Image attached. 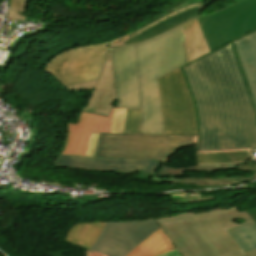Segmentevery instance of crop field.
Returning <instances> with one entry per match:
<instances>
[{"label": "crop field", "instance_id": "obj_1", "mask_svg": "<svg viewBox=\"0 0 256 256\" xmlns=\"http://www.w3.org/2000/svg\"><path fill=\"white\" fill-rule=\"evenodd\" d=\"M182 69L196 107L197 153L256 149V113L231 42Z\"/></svg>", "mask_w": 256, "mask_h": 256}, {"label": "crop field", "instance_id": "obj_2", "mask_svg": "<svg viewBox=\"0 0 256 256\" xmlns=\"http://www.w3.org/2000/svg\"><path fill=\"white\" fill-rule=\"evenodd\" d=\"M143 114L139 134H164L157 78L209 52L197 16L136 43Z\"/></svg>", "mask_w": 256, "mask_h": 256}, {"label": "crop field", "instance_id": "obj_3", "mask_svg": "<svg viewBox=\"0 0 256 256\" xmlns=\"http://www.w3.org/2000/svg\"><path fill=\"white\" fill-rule=\"evenodd\" d=\"M238 219L245 223L235 224ZM155 220L182 256L240 255L242 251L226 230L253 222L245 211L238 212L236 207Z\"/></svg>", "mask_w": 256, "mask_h": 256}, {"label": "crop field", "instance_id": "obj_4", "mask_svg": "<svg viewBox=\"0 0 256 256\" xmlns=\"http://www.w3.org/2000/svg\"><path fill=\"white\" fill-rule=\"evenodd\" d=\"M197 136H145L101 134L95 157L151 158L166 164L183 147L195 145Z\"/></svg>", "mask_w": 256, "mask_h": 256}, {"label": "crop field", "instance_id": "obj_5", "mask_svg": "<svg viewBox=\"0 0 256 256\" xmlns=\"http://www.w3.org/2000/svg\"><path fill=\"white\" fill-rule=\"evenodd\" d=\"M158 82L165 134H198L195 107L181 67Z\"/></svg>", "mask_w": 256, "mask_h": 256}, {"label": "crop field", "instance_id": "obj_6", "mask_svg": "<svg viewBox=\"0 0 256 256\" xmlns=\"http://www.w3.org/2000/svg\"><path fill=\"white\" fill-rule=\"evenodd\" d=\"M198 19L211 51L256 27V0H235Z\"/></svg>", "mask_w": 256, "mask_h": 256}, {"label": "crop field", "instance_id": "obj_7", "mask_svg": "<svg viewBox=\"0 0 256 256\" xmlns=\"http://www.w3.org/2000/svg\"><path fill=\"white\" fill-rule=\"evenodd\" d=\"M108 42L62 52L51 59L44 72L63 86L98 79Z\"/></svg>", "mask_w": 256, "mask_h": 256}, {"label": "crop field", "instance_id": "obj_8", "mask_svg": "<svg viewBox=\"0 0 256 256\" xmlns=\"http://www.w3.org/2000/svg\"><path fill=\"white\" fill-rule=\"evenodd\" d=\"M158 227L154 218L107 222L92 249L110 256H125Z\"/></svg>", "mask_w": 256, "mask_h": 256}, {"label": "crop field", "instance_id": "obj_9", "mask_svg": "<svg viewBox=\"0 0 256 256\" xmlns=\"http://www.w3.org/2000/svg\"><path fill=\"white\" fill-rule=\"evenodd\" d=\"M112 51L118 108L142 109L134 44Z\"/></svg>", "mask_w": 256, "mask_h": 256}, {"label": "crop field", "instance_id": "obj_10", "mask_svg": "<svg viewBox=\"0 0 256 256\" xmlns=\"http://www.w3.org/2000/svg\"><path fill=\"white\" fill-rule=\"evenodd\" d=\"M65 88L68 91L94 89L88 104L82 110L108 116L111 107L117 108L111 50L106 54L98 80Z\"/></svg>", "mask_w": 256, "mask_h": 256}, {"label": "crop field", "instance_id": "obj_11", "mask_svg": "<svg viewBox=\"0 0 256 256\" xmlns=\"http://www.w3.org/2000/svg\"><path fill=\"white\" fill-rule=\"evenodd\" d=\"M113 111L109 117L81 111L76 124L66 122L67 141L61 154L85 156L91 132L110 133Z\"/></svg>", "mask_w": 256, "mask_h": 256}, {"label": "crop field", "instance_id": "obj_12", "mask_svg": "<svg viewBox=\"0 0 256 256\" xmlns=\"http://www.w3.org/2000/svg\"><path fill=\"white\" fill-rule=\"evenodd\" d=\"M158 165L159 163L152 160L92 159L59 155L54 167H69L96 171H116L122 173L141 171L138 177L149 178L156 171Z\"/></svg>", "mask_w": 256, "mask_h": 256}, {"label": "crop field", "instance_id": "obj_13", "mask_svg": "<svg viewBox=\"0 0 256 256\" xmlns=\"http://www.w3.org/2000/svg\"><path fill=\"white\" fill-rule=\"evenodd\" d=\"M220 170H241L249 171L252 173L250 177H219V178H205V177H193V178H159L160 175L168 176H180L185 175L187 171L193 172H208L212 173ZM253 178H256V168H243L240 169L238 163H229V164H219V165H196L189 168H173L161 164L159 170L154 174L153 180L158 181H172V182H181V183H193V184H236L241 182H247Z\"/></svg>", "mask_w": 256, "mask_h": 256}, {"label": "crop field", "instance_id": "obj_14", "mask_svg": "<svg viewBox=\"0 0 256 256\" xmlns=\"http://www.w3.org/2000/svg\"><path fill=\"white\" fill-rule=\"evenodd\" d=\"M256 109V29L232 41Z\"/></svg>", "mask_w": 256, "mask_h": 256}, {"label": "crop field", "instance_id": "obj_15", "mask_svg": "<svg viewBox=\"0 0 256 256\" xmlns=\"http://www.w3.org/2000/svg\"><path fill=\"white\" fill-rule=\"evenodd\" d=\"M174 249L169 238L159 227L127 256H158Z\"/></svg>", "mask_w": 256, "mask_h": 256}, {"label": "crop field", "instance_id": "obj_16", "mask_svg": "<svg viewBox=\"0 0 256 256\" xmlns=\"http://www.w3.org/2000/svg\"><path fill=\"white\" fill-rule=\"evenodd\" d=\"M105 223H77L72 226L64 241L91 249Z\"/></svg>", "mask_w": 256, "mask_h": 256}, {"label": "crop field", "instance_id": "obj_17", "mask_svg": "<svg viewBox=\"0 0 256 256\" xmlns=\"http://www.w3.org/2000/svg\"><path fill=\"white\" fill-rule=\"evenodd\" d=\"M243 253L256 248V224L250 223L228 230Z\"/></svg>", "mask_w": 256, "mask_h": 256}, {"label": "crop field", "instance_id": "obj_18", "mask_svg": "<svg viewBox=\"0 0 256 256\" xmlns=\"http://www.w3.org/2000/svg\"><path fill=\"white\" fill-rule=\"evenodd\" d=\"M248 151L196 154L198 164L247 161Z\"/></svg>", "mask_w": 256, "mask_h": 256}, {"label": "crop field", "instance_id": "obj_19", "mask_svg": "<svg viewBox=\"0 0 256 256\" xmlns=\"http://www.w3.org/2000/svg\"><path fill=\"white\" fill-rule=\"evenodd\" d=\"M202 1H205V0H175V1L171 2L168 6H166V7L163 8V12H164L165 14H160V15H158V16H152V17H150L149 19L145 20L142 25H140L139 27H137L135 31H138V30H140V29H142V28H144V27L150 25L151 23H153V22H155V21H157V20H159V19L164 18L165 16H167L168 14H170V13H172V12H175V11H177V10H180V9H182V8H185V7H187V6H190V5H192V4L200 3V2H202ZM135 31H134V32H135ZM131 33H133V32H130V33L126 34V35H129V34H131ZM116 40H117V39H116ZM113 41H114V40H113ZM111 42H112V41H110L109 44H110Z\"/></svg>", "mask_w": 256, "mask_h": 256}, {"label": "crop field", "instance_id": "obj_20", "mask_svg": "<svg viewBox=\"0 0 256 256\" xmlns=\"http://www.w3.org/2000/svg\"><path fill=\"white\" fill-rule=\"evenodd\" d=\"M205 5H206V3L198 4V5H195V6L186 8V9H184V10H181V11H179V12H177V13H174V14H172V15H170V16H168V17H166V18H164V19H162V20H160V21H158V22H156V23H154V24L148 26L147 28H145L144 30H142V31H140V32H138V33H135V34L130 35V36L124 38V39H121V40H118V41L113 42L112 45H111V47H110V49H112V48H114V47L122 46V45H127V44H132V43H136V42L143 41V40H145L144 38H136V35L142 33L143 31H145V30H147V29H149V28H151V27H153V26H155V25H157V24H159V23H161V22H163V21H165V20H167V19H169V18H171V17H173V16H175V15H177V14L183 12V11L192 9V8H194V7H196L197 10H198V12L195 14V15H197L201 10H203V9L205 8ZM195 15H194V16H195ZM194 16H192V17H194ZM192 17L188 18L186 21L190 20ZM186 21H184V22H186ZM184 22H183V23H184ZM181 24H182V23H181ZM177 25H180V24H176V25H174V27L177 26ZM171 28H173V27H170L169 29H171ZM169 29H167V30H169ZM167 30H165V31H167ZM165 31H164V32H165ZM162 33H163V32H162Z\"/></svg>", "mask_w": 256, "mask_h": 256}, {"label": "crop field", "instance_id": "obj_21", "mask_svg": "<svg viewBox=\"0 0 256 256\" xmlns=\"http://www.w3.org/2000/svg\"><path fill=\"white\" fill-rule=\"evenodd\" d=\"M142 110L126 109L123 133L138 134Z\"/></svg>", "mask_w": 256, "mask_h": 256}, {"label": "crop field", "instance_id": "obj_22", "mask_svg": "<svg viewBox=\"0 0 256 256\" xmlns=\"http://www.w3.org/2000/svg\"><path fill=\"white\" fill-rule=\"evenodd\" d=\"M26 3L27 0H10L6 17L25 20Z\"/></svg>", "mask_w": 256, "mask_h": 256}, {"label": "crop field", "instance_id": "obj_23", "mask_svg": "<svg viewBox=\"0 0 256 256\" xmlns=\"http://www.w3.org/2000/svg\"><path fill=\"white\" fill-rule=\"evenodd\" d=\"M125 109H115L111 133H122Z\"/></svg>", "mask_w": 256, "mask_h": 256}, {"label": "crop field", "instance_id": "obj_24", "mask_svg": "<svg viewBox=\"0 0 256 256\" xmlns=\"http://www.w3.org/2000/svg\"><path fill=\"white\" fill-rule=\"evenodd\" d=\"M100 134H91L90 141H89V146H88V151H87V157H94L97 144H98V139H99Z\"/></svg>", "mask_w": 256, "mask_h": 256}, {"label": "crop field", "instance_id": "obj_25", "mask_svg": "<svg viewBox=\"0 0 256 256\" xmlns=\"http://www.w3.org/2000/svg\"><path fill=\"white\" fill-rule=\"evenodd\" d=\"M247 214L256 222V208L246 210Z\"/></svg>", "mask_w": 256, "mask_h": 256}, {"label": "crop field", "instance_id": "obj_26", "mask_svg": "<svg viewBox=\"0 0 256 256\" xmlns=\"http://www.w3.org/2000/svg\"><path fill=\"white\" fill-rule=\"evenodd\" d=\"M161 256H181V255L177 252V250H175V251L168 252Z\"/></svg>", "mask_w": 256, "mask_h": 256}, {"label": "crop field", "instance_id": "obj_27", "mask_svg": "<svg viewBox=\"0 0 256 256\" xmlns=\"http://www.w3.org/2000/svg\"><path fill=\"white\" fill-rule=\"evenodd\" d=\"M240 256H256V249L245 254H242Z\"/></svg>", "mask_w": 256, "mask_h": 256}, {"label": "crop field", "instance_id": "obj_28", "mask_svg": "<svg viewBox=\"0 0 256 256\" xmlns=\"http://www.w3.org/2000/svg\"><path fill=\"white\" fill-rule=\"evenodd\" d=\"M253 191H256V189L255 190H251V191H247V192H242V193H248V192H253ZM242 193H237V194H242ZM237 194H235V195H237Z\"/></svg>", "mask_w": 256, "mask_h": 256}]
</instances>
